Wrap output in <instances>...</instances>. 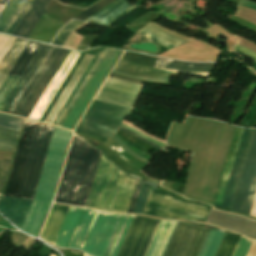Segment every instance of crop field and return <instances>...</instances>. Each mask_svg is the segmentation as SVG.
<instances>
[{"mask_svg":"<svg viewBox=\"0 0 256 256\" xmlns=\"http://www.w3.org/2000/svg\"><path fill=\"white\" fill-rule=\"evenodd\" d=\"M53 128L24 121L3 196L33 201ZM31 203L3 197L0 213L21 228Z\"/></svg>","mask_w":256,"mask_h":256,"instance_id":"crop-field-1","label":"crop field"},{"mask_svg":"<svg viewBox=\"0 0 256 256\" xmlns=\"http://www.w3.org/2000/svg\"><path fill=\"white\" fill-rule=\"evenodd\" d=\"M133 217L70 207L53 245L116 256Z\"/></svg>","mask_w":256,"mask_h":256,"instance_id":"crop-field-2","label":"crop field"},{"mask_svg":"<svg viewBox=\"0 0 256 256\" xmlns=\"http://www.w3.org/2000/svg\"><path fill=\"white\" fill-rule=\"evenodd\" d=\"M238 128L241 129V131L224 182L220 202L219 205H214L225 209L227 208V204L250 130L242 129L240 127ZM255 189L256 129H251L227 209L249 215Z\"/></svg>","mask_w":256,"mask_h":256,"instance_id":"crop-field-3","label":"crop field"},{"mask_svg":"<svg viewBox=\"0 0 256 256\" xmlns=\"http://www.w3.org/2000/svg\"><path fill=\"white\" fill-rule=\"evenodd\" d=\"M67 53V50L41 44L21 75V78L27 79L26 82L25 79L19 78L1 110L7 111L24 82L25 84L8 111L0 110V112L27 118Z\"/></svg>","mask_w":256,"mask_h":256,"instance_id":"crop-field-4","label":"crop field"},{"mask_svg":"<svg viewBox=\"0 0 256 256\" xmlns=\"http://www.w3.org/2000/svg\"><path fill=\"white\" fill-rule=\"evenodd\" d=\"M100 152L73 135L55 202L86 205Z\"/></svg>","mask_w":256,"mask_h":256,"instance_id":"crop-field-5","label":"crop field"},{"mask_svg":"<svg viewBox=\"0 0 256 256\" xmlns=\"http://www.w3.org/2000/svg\"><path fill=\"white\" fill-rule=\"evenodd\" d=\"M70 134L54 128L35 199L21 228L33 236H36L50 205Z\"/></svg>","mask_w":256,"mask_h":256,"instance_id":"crop-field-6","label":"crop field"},{"mask_svg":"<svg viewBox=\"0 0 256 256\" xmlns=\"http://www.w3.org/2000/svg\"><path fill=\"white\" fill-rule=\"evenodd\" d=\"M135 182L102 153L86 207L126 213Z\"/></svg>","mask_w":256,"mask_h":256,"instance_id":"crop-field-7","label":"crop field"},{"mask_svg":"<svg viewBox=\"0 0 256 256\" xmlns=\"http://www.w3.org/2000/svg\"><path fill=\"white\" fill-rule=\"evenodd\" d=\"M178 222L161 220L145 256H162ZM208 229L179 222L163 256H197Z\"/></svg>","mask_w":256,"mask_h":256,"instance_id":"crop-field-8","label":"crop field"},{"mask_svg":"<svg viewBox=\"0 0 256 256\" xmlns=\"http://www.w3.org/2000/svg\"><path fill=\"white\" fill-rule=\"evenodd\" d=\"M130 111V108L93 100L75 132L107 139Z\"/></svg>","mask_w":256,"mask_h":256,"instance_id":"crop-field-9","label":"crop field"},{"mask_svg":"<svg viewBox=\"0 0 256 256\" xmlns=\"http://www.w3.org/2000/svg\"><path fill=\"white\" fill-rule=\"evenodd\" d=\"M210 207L178 200L158 190H150L145 215L169 219L204 222Z\"/></svg>","mask_w":256,"mask_h":256,"instance_id":"crop-field-10","label":"crop field"},{"mask_svg":"<svg viewBox=\"0 0 256 256\" xmlns=\"http://www.w3.org/2000/svg\"><path fill=\"white\" fill-rule=\"evenodd\" d=\"M159 221L136 216L118 256H144Z\"/></svg>","mask_w":256,"mask_h":256,"instance_id":"crop-field-11","label":"crop field"},{"mask_svg":"<svg viewBox=\"0 0 256 256\" xmlns=\"http://www.w3.org/2000/svg\"><path fill=\"white\" fill-rule=\"evenodd\" d=\"M225 233L210 231L199 256H214ZM240 235L226 233L215 256H231ZM251 239L241 236L232 256H246Z\"/></svg>","mask_w":256,"mask_h":256,"instance_id":"crop-field-12","label":"crop field"},{"mask_svg":"<svg viewBox=\"0 0 256 256\" xmlns=\"http://www.w3.org/2000/svg\"><path fill=\"white\" fill-rule=\"evenodd\" d=\"M119 53L120 50L110 48L102 63L100 64L95 74L89 81L88 85L84 89L83 93L81 94L76 104L70 111L69 115L65 119L62 127H66L72 130L73 126L77 122L78 118L82 114L83 110L87 106L88 102L92 98L93 94L97 90L98 86L102 82L103 78L107 74L108 70L112 66Z\"/></svg>","mask_w":256,"mask_h":256,"instance_id":"crop-field-13","label":"crop field"},{"mask_svg":"<svg viewBox=\"0 0 256 256\" xmlns=\"http://www.w3.org/2000/svg\"><path fill=\"white\" fill-rule=\"evenodd\" d=\"M79 55H80L79 52L69 51L68 55L64 59L60 68L58 69L55 76L53 77L50 84L48 85L47 89L45 90L42 97L40 98L39 102L35 106L32 113L30 114L29 119L39 121L40 117L44 113L45 109L49 105L50 101L54 97L55 93L59 89L60 85L64 81L65 77L69 73L70 69L74 65Z\"/></svg>","mask_w":256,"mask_h":256,"instance_id":"crop-field-14","label":"crop field"},{"mask_svg":"<svg viewBox=\"0 0 256 256\" xmlns=\"http://www.w3.org/2000/svg\"><path fill=\"white\" fill-rule=\"evenodd\" d=\"M112 72L142 80L165 83L169 82L171 74L169 71L152 68L121 59H119Z\"/></svg>","mask_w":256,"mask_h":256,"instance_id":"crop-field-15","label":"crop field"},{"mask_svg":"<svg viewBox=\"0 0 256 256\" xmlns=\"http://www.w3.org/2000/svg\"><path fill=\"white\" fill-rule=\"evenodd\" d=\"M138 94V91L104 83L95 99L132 108Z\"/></svg>","mask_w":256,"mask_h":256,"instance_id":"crop-field-16","label":"crop field"},{"mask_svg":"<svg viewBox=\"0 0 256 256\" xmlns=\"http://www.w3.org/2000/svg\"><path fill=\"white\" fill-rule=\"evenodd\" d=\"M50 1L33 0L12 35L28 38Z\"/></svg>","mask_w":256,"mask_h":256,"instance_id":"crop-field-17","label":"crop field"},{"mask_svg":"<svg viewBox=\"0 0 256 256\" xmlns=\"http://www.w3.org/2000/svg\"><path fill=\"white\" fill-rule=\"evenodd\" d=\"M31 2L32 0H11L0 17V32L11 35Z\"/></svg>","mask_w":256,"mask_h":256,"instance_id":"crop-field-18","label":"crop field"},{"mask_svg":"<svg viewBox=\"0 0 256 256\" xmlns=\"http://www.w3.org/2000/svg\"><path fill=\"white\" fill-rule=\"evenodd\" d=\"M38 46V43L29 42L28 46L26 47L23 54L21 55L18 62L14 66L13 70L11 71L12 74L21 75L22 71L26 67L27 63L31 59L32 55L34 54ZM12 74H9V76L7 77L6 81L0 89V107L2 106L3 102L5 101L14 84L19 78L18 75Z\"/></svg>","mask_w":256,"mask_h":256,"instance_id":"crop-field-19","label":"crop field"},{"mask_svg":"<svg viewBox=\"0 0 256 256\" xmlns=\"http://www.w3.org/2000/svg\"><path fill=\"white\" fill-rule=\"evenodd\" d=\"M69 207L54 205L40 234L44 240L53 243Z\"/></svg>","mask_w":256,"mask_h":256,"instance_id":"crop-field-20","label":"crop field"},{"mask_svg":"<svg viewBox=\"0 0 256 256\" xmlns=\"http://www.w3.org/2000/svg\"><path fill=\"white\" fill-rule=\"evenodd\" d=\"M28 41L15 38L6 55L0 63V87L25 49Z\"/></svg>","mask_w":256,"mask_h":256,"instance_id":"crop-field-21","label":"crop field"},{"mask_svg":"<svg viewBox=\"0 0 256 256\" xmlns=\"http://www.w3.org/2000/svg\"><path fill=\"white\" fill-rule=\"evenodd\" d=\"M92 58H93L92 56L86 55V57L84 58L83 62L81 61L82 63H81V65L79 64L80 66H79L78 70L76 69L77 70L76 73L74 72L75 74L72 77L71 81L69 80L70 81L69 84L67 85L66 89L64 90V92L60 96L59 100L57 101V103L53 107V109L50 112V114L48 115L47 119L45 120L46 123L52 124L53 120L57 116L58 112L62 108L63 104L67 100L68 96L72 92L73 88L77 84L78 80L82 76L83 72L87 68V66L90 63V61L92 60Z\"/></svg>","mask_w":256,"mask_h":256,"instance_id":"crop-field-22","label":"crop field"},{"mask_svg":"<svg viewBox=\"0 0 256 256\" xmlns=\"http://www.w3.org/2000/svg\"><path fill=\"white\" fill-rule=\"evenodd\" d=\"M131 6L132 5L125 0H116L86 21L105 25Z\"/></svg>","mask_w":256,"mask_h":256,"instance_id":"crop-field-23","label":"crop field"},{"mask_svg":"<svg viewBox=\"0 0 256 256\" xmlns=\"http://www.w3.org/2000/svg\"><path fill=\"white\" fill-rule=\"evenodd\" d=\"M137 33L171 49L177 45L183 44L185 43V41L178 39L166 32H163L151 25H146L145 27H143L142 29H140L139 31H137Z\"/></svg>","mask_w":256,"mask_h":256,"instance_id":"crop-field-24","label":"crop field"},{"mask_svg":"<svg viewBox=\"0 0 256 256\" xmlns=\"http://www.w3.org/2000/svg\"><path fill=\"white\" fill-rule=\"evenodd\" d=\"M154 67L176 71V72L192 73V74H196L204 77H206V75L211 69V68L195 66V65L179 64V63H175V62H171V61H167L159 58Z\"/></svg>","mask_w":256,"mask_h":256,"instance_id":"crop-field-25","label":"crop field"},{"mask_svg":"<svg viewBox=\"0 0 256 256\" xmlns=\"http://www.w3.org/2000/svg\"><path fill=\"white\" fill-rule=\"evenodd\" d=\"M109 50V48H104V50L102 51L101 55L99 56V58L97 59L96 63L94 64V66L92 67L91 71L89 72V74L87 75L86 79L84 80V82L82 83L81 87L79 88V90L77 91V93L75 94L74 98L72 99V101L70 102L69 106L67 107V109L65 110L64 114L62 115V117L60 118L59 122L57 123L58 126H61V124L63 123L64 119L66 118V116L68 115L69 111L71 110V108L73 107V105L75 104L76 100L78 99V97L80 96V94L82 93L83 89L85 88V86L87 85L88 81L90 80V78L92 77V75L94 74L95 70L97 69V67L99 66V64L101 63L102 59L104 58V56L106 55L107 51Z\"/></svg>","mask_w":256,"mask_h":256,"instance_id":"crop-field-26","label":"crop field"},{"mask_svg":"<svg viewBox=\"0 0 256 256\" xmlns=\"http://www.w3.org/2000/svg\"><path fill=\"white\" fill-rule=\"evenodd\" d=\"M18 133L17 131L0 127V149L13 151Z\"/></svg>","mask_w":256,"mask_h":256,"instance_id":"crop-field-27","label":"crop field"},{"mask_svg":"<svg viewBox=\"0 0 256 256\" xmlns=\"http://www.w3.org/2000/svg\"><path fill=\"white\" fill-rule=\"evenodd\" d=\"M82 24L83 22L72 20L60 30L52 44L63 47L70 34Z\"/></svg>","mask_w":256,"mask_h":256,"instance_id":"crop-field-28","label":"crop field"},{"mask_svg":"<svg viewBox=\"0 0 256 256\" xmlns=\"http://www.w3.org/2000/svg\"><path fill=\"white\" fill-rule=\"evenodd\" d=\"M85 54L81 53L80 57L78 58V60L76 61L75 65L73 66L72 70L70 71V73L68 74L67 78L65 79V81L63 82L62 86L60 87L59 91L57 92V94L55 95L54 99L52 100L51 104L49 105V107L47 108L46 112L44 113V115L41 118V122H44V120L46 119L47 115L49 114V112L51 111L52 107L54 106V104L56 103V101L58 100L59 96L61 95V93L63 92L64 88L66 87V85L68 84L69 80L71 79V77L73 76L74 72L76 71V69L78 68L79 64L81 63V61L83 60Z\"/></svg>","mask_w":256,"mask_h":256,"instance_id":"crop-field-29","label":"crop field"},{"mask_svg":"<svg viewBox=\"0 0 256 256\" xmlns=\"http://www.w3.org/2000/svg\"><path fill=\"white\" fill-rule=\"evenodd\" d=\"M121 59L129 60V61H133V62H137L140 64L153 67L157 58L151 57L148 55L138 54V53L124 52V54L121 56Z\"/></svg>","mask_w":256,"mask_h":256,"instance_id":"crop-field-30","label":"crop field"},{"mask_svg":"<svg viewBox=\"0 0 256 256\" xmlns=\"http://www.w3.org/2000/svg\"><path fill=\"white\" fill-rule=\"evenodd\" d=\"M104 47L99 48L98 52L96 53L94 59L92 60L91 64L89 65V67L87 68L86 72L84 73V75L82 76V78L80 79L79 83L77 84V86L75 87V89L73 90L72 94L70 95V97L68 98L67 102L65 103V105L63 106V108L61 109L60 113L58 114V116L56 117L55 121L53 122L54 125H56V123L58 122L59 118L61 117V115L63 114L64 110L66 109V107L68 106L69 102L71 101V99L73 98L74 94L76 93V91L78 90L79 86L81 85V83L83 82V80L85 79L86 75L88 74V72L90 71L91 67L93 66V64L95 63L96 59L98 58V56L100 55L101 51L103 50Z\"/></svg>","mask_w":256,"mask_h":256,"instance_id":"crop-field-31","label":"crop field"},{"mask_svg":"<svg viewBox=\"0 0 256 256\" xmlns=\"http://www.w3.org/2000/svg\"><path fill=\"white\" fill-rule=\"evenodd\" d=\"M113 1L114 0H100L98 3H96L95 5H93L89 9H87L86 11L82 12L81 14L76 16L74 19L84 21L87 18H89L90 16H92L93 14H95L96 12H98L99 10H101L102 8H104L105 6H107L108 4H110L111 2H113Z\"/></svg>","mask_w":256,"mask_h":256,"instance_id":"crop-field-32","label":"crop field"},{"mask_svg":"<svg viewBox=\"0 0 256 256\" xmlns=\"http://www.w3.org/2000/svg\"><path fill=\"white\" fill-rule=\"evenodd\" d=\"M148 187L141 185V189L138 195V199L135 205V209L133 213H137V214H141L142 213V209L145 203V199L148 193Z\"/></svg>","mask_w":256,"mask_h":256,"instance_id":"crop-field-33","label":"crop field"},{"mask_svg":"<svg viewBox=\"0 0 256 256\" xmlns=\"http://www.w3.org/2000/svg\"><path fill=\"white\" fill-rule=\"evenodd\" d=\"M10 162L11 161H9V160L0 159V170H1L0 171V197H1V194H2V190H3V187H4L5 180H6V176H7V173H8Z\"/></svg>","mask_w":256,"mask_h":256,"instance_id":"crop-field-34","label":"crop field"},{"mask_svg":"<svg viewBox=\"0 0 256 256\" xmlns=\"http://www.w3.org/2000/svg\"><path fill=\"white\" fill-rule=\"evenodd\" d=\"M13 40V37L0 35V61L2 60Z\"/></svg>","mask_w":256,"mask_h":256,"instance_id":"crop-field-35","label":"crop field"},{"mask_svg":"<svg viewBox=\"0 0 256 256\" xmlns=\"http://www.w3.org/2000/svg\"><path fill=\"white\" fill-rule=\"evenodd\" d=\"M26 238H27V236H25L19 232H13V234L11 236L14 246L20 247V248H21L23 242L26 240Z\"/></svg>","mask_w":256,"mask_h":256,"instance_id":"crop-field-36","label":"crop field"},{"mask_svg":"<svg viewBox=\"0 0 256 256\" xmlns=\"http://www.w3.org/2000/svg\"><path fill=\"white\" fill-rule=\"evenodd\" d=\"M140 185H141V183L136 182V186H135V189H134V192H133V196H132V199H131V203H130L128 213L133 212V208H134V205H135V202H136V198H137V195H138V192H139Z\"/></svg>","mask_w":256,"mask_h":256,"instance_id":"crop-field-37","label":"crop field"},{"mask_svg":"<svg viewBox=\"0 0 256 256\" xmlns=\"http://www.w3.org/2000/svg\"><path fill=\"white\" fill-rule=\"evenodd\" d=\"M236 50L240 51L241 53L245 54L246 56H248L249 58L253 59L254 61H256V54L243 48V47H240V46H236L235 47Z\"/></svg>","mask_w":256,"mask_h":256,"instance_id":"crop-field-38","label":"crop field"},{"mask_svg":"<svg viewBox=\"0 0 256 256\" xmlns=\"http://www.w3.org/2000/svg\"><path fill=\"white\" fill-rule=\"evenodd\" d=\"M109 77H113V78L129 81V82H133V83H137V84H141V85L143 84V81L127 78V77L116 75V74H112V73H110Z\"/></svg>","mask_w":256,"mask_h":256,"instance_id":"crop-field-39","label":"crop field"},{"mask_svg":"<svg viewBox=\"0 0 256 256\" xmlns=\"http://www.w3.org/2000/svg\"><path fill=\"white\" fill-rule=\"evenodd\" d=\"M120 130L125 131V132H127V133H129V134L135 136L136 138H138V139H140V140H142V141H144V142L150 144L151 146H153V147H155V148H157V149H160V148H161V147H159V146H157V145H155V144H153V143H151V142H149V141L143 139L142 137L138 136L137 134H135V133H133V132L127 130V129H124V128L120 127Z\"/></svg>","mask_w":256,"mask_h":256,"instance_id":"crop-field-40","label":"crop field"},{"mask_svg":"<svg viewBox=\"0 0 256 256\" xmlns=\"http://www.w3.org/2000/svg\"><path fill=\"white\" fill-rule=\"evenodd\" d=\"M112 138L115 139L128 153H130L131 155H133V156H135V157H138V158H140V159H142V160H144V161L147 162V160H145V159H143V158L137 156L136 154H134V153H133L127 146H125L118 138H116L115 136L112 137ZM138 158H137V159H138ZM140 159H139V160H140Z\"/></svg>","mask_w":256,"mask_h":256,"instance_id":"crop-field-41","label":"crop field"},{"mask_svg":"<svg viewBox=\"0 0 256 256\" xmlns=\"http://www.w3.org/2000/svg\"><path fill=\"white\" fill-rule=\"evenodd\" d=\"M247 256H256V241H253Z\"/></svg>","mask_w":256,"mask_h":256,"instance_id":"crop-field-42","label":"crop field"},{"mask_svg":"<svg viewBox=\"0 0 256 256\" xmlns=\"http://www.w3.org/2000/svg\"><path fill=\"white\" fill-rule=\"evenodd\" d=\"M7 0H0V4L4 5Z\"/></svg>","mask_w":256,"mask_h":256,"instance_id":"crop-field-43","label":"crop field"},{"mask_svg":"<svg viewBox=\"0 0 256 256\" xmlns=\"http://www.w3.org/2000/svg\"><path fill=\"white\" fill-rule=\"evenodd\" d=\"M84 256H88V255L84 254Z\"/></svg>","mask_w":256,"mask_h":256,"instance_id":"crop-field-44","label":"crop field"}]
</instances>
